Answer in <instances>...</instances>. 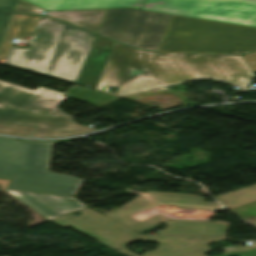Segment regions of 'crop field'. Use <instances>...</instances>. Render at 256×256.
<instances>
[{"label": "crop field", "mask_w": 256, "mask_h": 256, "mask_svg": "<svg viewBox=\"0 0 256 256\" xmlns=\"http://www.w3.org/2000/svg\"><path fill=\"white\" fill-rule=\"evenodd\" d=\"M198 78L230 83L214 55H160L116 42L97 89L119 86L124 95Z\"/></svg>", "instance_id": "crop-field-1"}, {"label": "crop field", "mask_w": 256, "mask_h": 256, "mask_svg": "<svg viewBox=\"0 0 256 256\" xmlns=\"http://www.w3.org/2000/svg\"><path fill=\"white\" fill-rule=\"evenodd\" d=\"M95 35L42 17L28 49L14 48L8 65L75 83Z\"/></svg>", "instance_id": "crop-field-2"}, {"label": "crop field", "mask_w": 256, "mask_h": 256, "mask_svg": "<svg viewBox=\"0 0 256 256\" xmlns=\"http://www.w3.org/2000/svg\"><path fill=\"white\" fill-rule=\"evenodd\" d=\"M52 141L0 138V178L12 179L7 188L75 196L83 180L48 173Z\"/></svg>", "instance_id": "crop-field-3"}, {"label": "crop field", "mask_w": 256, "mask_h": 256, "mask_svg": "<svg viewBox=\"0 0 256 256\" xmlns=\"http://www.w3.org/2000/svg\"><path fill=\"white\" fill-rule=\"evenodd\" d=\"M39 87L35 91L0 81V122L38 125L32 137L69 136L91 130L56 106L67 97Z\"/></svg>", "instance_id": "crop-field-4"}, {"label": "crop field", "mask_w": 256, "mask_h": 256, "mask_svg": "<svg viewBox=\"0 0 256 256\" xmlns=\"http://www.w3.org/2000/svg\"><path fill=\"white\" fill-rule=\"evenodd\" d=\"M256 50V28L173 15L159 53L230 54Z\"/></svg>", "instance_id": "crop-field-5"}, {"label": "crop field", "mask_w": 256, "mask_h": 256, "mask_svg": "<svg viewBox=\"0 0 256 256\" xmlns=\"http://www.w3.org/2000/svg\"><path fill=\"white\" fill-rule=\"evenodd\" d=\"M79 217L70 214L51 220L61 226H70L95 240L108 245L128 256H137L126 246L134 240L157 241V251L143 253V256H206L210 251L207 243L226 238L177 237V236H141L113 220L85 207ZM199 240L198 242H194Z\"/></svg>", "instance_id": "crop-field-6"}, {"label": "crop field", "mask_w": 256, "mask_h": 256, "mask_svg": "<svg viewBox=\"0 0 256 256\" xmlns=\"http://www.w3.org/2000/svg\"><path fill=\"white\" fill-rule=\"evenodd\" d=\"M150 207L189 208L226 211L222 206L207 205L203 198L192 194L145 192L126 206L104 214L133 231H142L161 222L168 229L158 234L224 236L228 224L214 221L170 220L158 214L141 222L130 216Z\"/></svg>", "instance_id": "crop-field-7"}, {"label": "crop field", "mask_w": 256, "mask_h": 256, "mask_svg": "<svg viewBox=\"0 0 256 256\" xmlns=\"http://www.w3.org/2000/svg\"><path fill=\"white\" fill-rule=\"evenodd\" d=\"M171 16L131 8L109 9L98 35L156 52Z\"/></svg>", "instance_id": "crop-field-8"}, {"label": "crop field", "mask_w": 256, "mask_h": 256, "mask_svg": "<svg viewBox=\"0 0 256 256\" xmlns=\"http://www.w3.org/2000/svg\"><path fill=\"white\" fill-rule=\"evenodd\" d=\"M141 9L256 27V0H148Z\"/></svg>", "instance_id": "crop-field-9"}, {"label": "crop field", "mask_w": 256, "mask_h": 256, "mask_svg": "<svg viewBox=\"0 0 256 256\" xmlns=\"http://www.w3.org/2000/svg\"><path fill=\"white\" fill-rule=\"evenodd\" d=\"M26 205L51 220L86 205L71 197L6 190Z\"/></svg>", "instance_id": "crop-field-10"}, {"label": "crop field", "mask_w": 256, "mask_h": 256, "mask_svg": "<svg viewBox=\"0 0 256 256\" xmlns=\"http://www.w3.org/2000/svg\"><path fill=\"white\" fill-rule=\"evenodd\" d=\"M40 8L24 0H19L14 12L41 15L43 8ZM107 10L108 9L47 11L48 13L44 16L68 21L84 30L97 34Z\"/></svg>", "instance_id": "crop-field-11"}, {"label": "crop field", "mask_w": 256, "mask_h": 256, "mask_svg": "<svg viewBox=\"0 0 256 256\" xmlns=\"http://www.w3.org/2000/svg\"><path fill=\"white\" fill-rule=\"evenodd\" d=\"M114 43L112 40L96 37L77 84L93 89L97 87Z\"/></svg>", "instance_id": "crop-field-12"}, {"label": "crop field", "mask_w": 256, "mask_h": 256, "mask_svg": "<svg viewBox=\"0 0 256 256\" xmlns=\"http://www.w3.org/2000/svg\"><path fill=\"white\" fill-rule=\"evenodd\" d=\"M45 10L131 7L139 9L146 0H26Z\"/></svg>", "instance_id": "crop-field-13"}, {"label": "crop field", "mask_w": 256, "mask_h": 256, "mask_svg": "<svg viewBox=\"0 0 256 256\" xmlns=\"http://www.w3.org/2000/svg\"><path fill=\"white\" fill-rule=\"evenodd\" d=\"M38 16L14 13L0 46V59L7 58L12 43L9 40L33 34Z\"/></svg>", "instance_id": "crop-field-14"}, {"label": "crop field", "mask_w": 256, "mask_h": 256, "mask_svg": "<svg viewBox=\"0 0 256 256\" xmlns=\"http://www.w3.org/2000/svg\"><path fill=\"white\" fill-rule=\"evenodd\" d=\"M231 84L248 89L250 81L255 78L242 56L215 55Z\"/></svg>", "instance_id": "crop-field-15"}, {"label": "crop field", "mask_w": 256, "mask_h": 256, "mask_svg": "<svg viewBox=\"0 0 256 256\" xmlns=\"http://www.w3.org/2000/svg\"><path fill=\"white\" fill-rule=\"evenodd\" d=\"M215 212V211H214ZM161 213L171 219H190V220H209L213 211L207 210H189V209H163V208H150L141 213H138L133 218L141 221L150 216Z\"/></svg>", "instance_id": "crop-field-16"}, {"label": "crop field", "mask_w": 256, "mask_h": 256, "mask_svg": "<svg viewBox=\"0 0 256 256\" xmlns=\"http://www.w3.org/2000/svg\"><path fill=\"white\" fill-rule=\"evenodd\" d=\"M216 198L226 201L223 204L229 208L256 201V185Z\"/></svg>", "instance_id": "crop-field-17"}, {"label": "crop field", "mask_w": 256, "mask_h": 256, "mask_svg": "<svg viewBox=\"0 0 256 256\" xmlns=\"http://www.w3.org/2000/svg\"><path fill=\"white\" fill-rule=\"evenodd\" d=\"M35 127L0 124V134L31 136Z\"/></svg>", "instance_id": "crop-field-18"}, {"label": "crop field", "mask_w": 256, "mask_h": 256, "mask_svg": "<svg viewBox=\"0 0 256 256\" xmlns=\"http://www.w3.org/2000/svg\"><path fill=\"white\" fill-rule=\"evenodd\" d=\"M13 13L0 11V43Z\"/></svg>", "instance_id": "crop-field-19"}, {"label": "crop field", "mask_w": 256, "mask_h": 256, "mask_svg": "<svg viewBox=\"0 0 256 256\" xmlns=\"http://www.w3.org/2000/svg\"><path fill=\"white\" fill-rule=\"evenodd\" d=\"M18 0H0V10L13 12Z\"/></svg>", "instance_id": "crop-field-20"}, {"label": "crop field", "mask_w": 256, "mask_h": 256, "mask_svg": "<svg viewBox=\"0 0 256 256\" xmlns=\"http://www.w3.org/2000/svg\"><path fill=\"white\" fill-rule=\"evenodd\" d=\"M252 72H256V52L243 55Z\"/></svg>", "instance_id": "crop-field-21"}, {"label": "crop field", "mask_w": 256, "mask_h": 256, "mask_svg": "<svg viewBox=\"0 0 256 256\" xmlns=\"http://www.w3.org/2000/svg\"><path fill=\"white\" fill-rule=\"evenodd\" d=\"M250 249H256V242H252L251 246L225 248V252L226 254H228V253H234V252L245 251Z\"/></svg>", "instance_id": "crop-field-22"}, {"label": "crop field", "mask_w": 256, "mask_h": 256, "mask_svg": "<svg viewBox=\"0 0 256 256\" xmlns=\"http://www.w3.org/2000/svg\"><path fill=\"white\" fill-rule=\"evenodd\" d=\"M224 256H256V250L228 254V255H224Z\"/></svg>", "instance_id": "crop-field-23"}, {"label": "crop field", "mask_w": 256, "mask_h": 256, "mask_svg": "<svg viewBox=\"0 0 256 256\" xmlns=\"http://www.w3.org/2000/svg\"><path fill=\"white\" fill-rule=\"evenodd\" d=\"M9 180L0 179V188L1 190H5Z\"/></svg>", "instance_id": "crop-field-24"}]
</instances>
